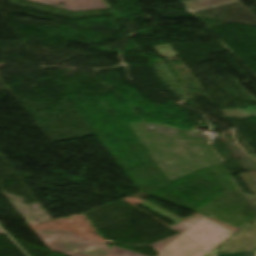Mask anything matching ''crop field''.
I'll list each match as a JSON object with an SVG mask.
<instances>
[{
  "label": "crop field",
  "mask_w": 256,
  "mask_h": 256,
  "mask_svg": "<svg viewBox=\"0 0 256 256\" xmlns=\"http://www.w3.org/2000/svg\"><path fill=\"white\" fill-rule=\"evenodd\" d=\"M112 250L116 256H142V255H139V254L115 247V246L112 247Z\"/></svg>",
  "instance_id": "obj_3"
},
{
  "label": "crop field",
  "mask_w": 256,
  "mask_h": 256,
  "mask_svg": "<svg viewBox=\"0 0 256 256\" xmlns=\"http://www.w3.org/2000/svg\"><path fill=\"white\" fill-rule=\"evenodd\" d=\"M255 255H256V251L231 253V254H220V255H216V256H255Z\"/></svg>",
  "instance_id": "obj_4"
},
{
  "label": "crop field",
  "mask_w": 256,
  "mask_h": 256,
  "mask_svg": "<svg viewBox=\"0 0 256 256\" xmlns=\"http://www.w3.org/2000/svg\"><path fill=\"white\" fill-rule=\"evenodd\" d=\"M47 247L69 256H115L107 244L82 239L71 232L36 231Z\"/></svg>",
  "instance_id": "obj_2"
},
{
  "label": "crop field",
  "mask_w": 256,
  "mask_h": 256,
  "mask_svg": "<svg viewBox=\"0 0 256 256\" xmlns=\"http://www.w3.org/2000/svg\"><path fill=\"white\" fill-rule=\"evenodd\" d=\"M139 204L175 222L171 227L182 232L151 244L158 256H204L236 233L202 215L181 221L148 204Z\"/></svg>",
  "instance_id": "obj_1"
}]
</instances>
